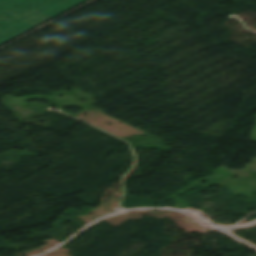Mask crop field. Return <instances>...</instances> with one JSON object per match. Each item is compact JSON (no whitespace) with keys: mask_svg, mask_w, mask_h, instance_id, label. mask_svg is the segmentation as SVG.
Wrapping results in <instances>:
<instances>
[{"mask_svg":"<svg viewBox=\"0 0 256 256\" xmlns=\"http://www.w3.org/2000/svg\"><path fill=\"white\" fill-rule=\"evenodd\" d=\"M86 0H0V45Z\"/></svg>","mask_w":256,"mask_h":256,"instance_id":"obj_1","label":"crop field"}]
</instances>
